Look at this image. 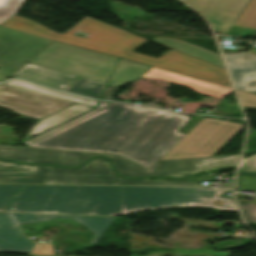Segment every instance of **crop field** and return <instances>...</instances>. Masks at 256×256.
I'll return each mask as SVG.
<instances>
[{
    "label": "crop field",
    "instance_id": "dd49c442",
    "mask_svg": "<svg viewBox=\"0 0 256 256\" xmlns=\"http://www.w3.org/2000/svg\"><path fill=\"white\" fill-rule=\"evenodd\" d=\"M117 59L98 52L52 42L29 63L107 83Z\"/></svg>",
    "mask_w": 256,
    "mask_h": 256
},
{
    "label": "crop field",
    "instance_id": "ae1a2a85",
    "mask_svg": "<svg viewBox=\"0 0 256 256\" xmlns=\"http://www.w3.org/2000/svg\"><path fill=\"white\" fill-rule=\"evenodd\" d=\"M240 171H247V172L254 171V172H256V157H254L251 160L243 163V165L241 166Z\"/></svg>",
    "mask_w": 256,
    "mask_h": 256
},
{
    "label": "crop field",
    "instance_id": "34b2d1b8",
    "mask_svg": "<svg viewBox=\"0 0 256 256\" xmlns=\"http://www.w3.org/2000/svg\"><path fill=\"white\" fill-rule=\"evenodd\" d=\"M1 27L52 39L58 42L102 52L115 57H121L157 68L193 76L217 84L231 87L224 69L188 56L173 49L160 58H152L133 52L148 40L134 36L90 17H86L67 33L58 34L32 20L14 15ZM88 34L83 38L71 35L76 30Z\"/></svg>",
    "mask_w": 256,
    "mask_h": 256
},
{
    "label": "crop field",
    "instance_id": "dafd665d",
    "mask_svg": "<svg viewBox=\"0 0 256 256\" xmlns=\"http://www.w3.org/2000/svg\"><path fill=\"white\" fill-rule=\"evenodd\" d=\"M98 110H99V109H95V110H93V111H91V112H89V113H87V114H85V115H83V116H81V117H78V118H76V119H74V120H71V121H69V122H67V123H65V124H63V125H61V126L55 128V129H52V130H50V131H47V132H45V133H43V134H41V135H39V136H37V137H35V138H32V139H30V140H28V141H26V142H24V143H22V144H24V145L27 146V145H29V144H31V143H33V142L39 140V139H42V138H44V137H46V136H49V135H51V134H53V133L59 131L60 129H62V128L66 127V126H68V125H70V124H72V123H74V122H76V121H78V120H80V119H82V118H84V117H86V116H88V115H90V114H92V113L98 111Z\"/></svg>",
    "mask_w": 256,
    "mask_h": 256
},
{
    "label": "crop field",
    "instance_id": "4a817a6b",
    "mask_svg": "<svg viewBox=\"0 0 256 256\" xmlns=\"http://www.w3.org/2000/svg\"><path fill=\"white\" fill-rule=\"evenodd\" d=\"M50 219L65 218L75 219L87 230L94 234L90 243H96L115 217H91V216H71V215H48Z\"/></svg>",
    "mask_w": 256,
    "mask_h": 256
},
{
    "label": "crop field",
    "instance_id": "bd1437ed",
    "mask_svg": "<svg viewBox=\"0 0 256 256\" xmlns=\"http://www.w3.org/2000/svg\"><path fill=\"white\" fill-rule=\"evenodd\" d=\"M256 94V93H255Z\"/></svg>",
    "mask_w": 256,
    "mask_h": 256
},
{
    "label": "crop field",
    "instance_id": "cbeb9de0",
    "mask_svg": "<svg viewBox=\"0 0 256 256\" xmlns=\"http://www.w3.org/2000/svg\"><path fill=\"white\" fill-rule=\"evenodd\" d=\"M13 77L62 90L78 77L27 63Z\"/></svg>",
    "mask_w": 256,
    "mask_h": 256
},
{
    "label": "crop field",
    "instance_id": "4177f3b9",
    "mask_svg": "<svg viewBox=\"0 0 256 256\" xmlns=\"http://www.w3.org/2000/svg\"><path fill=\"white\" fill-rule=\"evenodd\" d=\"M32 254L54 255L51 244H37Z\"/></svg>",
    "mask_w": 256,
    "mask_h": 256
},
{
    "label": "crop field",
    "instance_id": "d9b57169",
    "mask_svg": "<svg viewBox=\"0 0 256 256\" xmlns=\"http://www.w3.org/2000/svg\"><path fill=\"white\" fill-rule=\"evenodd\" d=\"M151 41H155L162 45L168 46L175 50L181 51L188 55L194 56L196 58H199L201 60L207 61L209 63H212L214 65L224 68L221 58L218 54L208 51L206 49L200 48L198 46L189 44L187 42H184L178 39L167 38V37H157L152 39Z\"/></svg>",
    "mask_w": 256,
    "mask_h": 256
},
{
    "label": "crop field",
    "instance_id": "8a807250",
    "mask_svg": "<svg viewBox=\"0 0 256 256\" xmlns=\"http://www.w3.org/2000/svg\"><path fill=\"white\" fill-rule=\"evenodd\" d=\"M232 188L0 185V211L117 215L170 206L238 210ZM218 203V204H217Z\"/></svg>",
    "mask_w": 256,
    "mask_h": 256
},
{
    "label": "crop field",
    "instance_id": "d1516ede",
    "mask_svg": "<svg viewBox=\"0 0 256 256\" xmlns=\"http://www.w3.org/2000/svg\"><path fill=\"white\" fill-rule=\"evenodd\" d=\"M142 77L162 79L179 85H184L199 92L200 94L209 95L217 99H222L232 90L229 87L156 68H151Z\"/></svg>",
    "mask_w": 256,
    "mask_h": 256
},
{
    "label": "crop field",
    "instance_id": "00972430",
    "mask_svg": "<svg viewBox=\"0 0 256 256\" xmlns=\"http://www.w3.org/2000/svg\"><path fill=\"white\" fill-rule=\"evenodd\" d=\"M241 103L245 107L256 108V95L237 90Z\"/></svg>",
    "mask_w": 256,
    "mask_h": 256
},
{
    "label": "crop field",
    "instance_id": "ac0d7876",
    "mask_svg": "<svg viewBox=\"0 0 256 256\" xmlns=\"http://www.w3.org/2000/svg\"><path fill=\"white\" fill-rule=\"evenodd\" d=\"M111 102L101 111L30 146L120 154L152 167L186 134L191 118L174 112Z\"/></svg>",
    "mask_w": 256,
    "mask_h": 256
},
{
    "label": "crop field",
    "instance_id": "22f410ed",
    "mask_svg": "<svg viewBox=\"0 0 256 256\" xmlns=\"http://www.w3.org/2000/svg\"><path fill=\"white\" fill-rule=\"evenodd\" d=\"M235 86L256 91V55L251 53L224 55Z\"/></svg>",
    "mask_w": 256,
    "mask_h": 256
},
{
    "label": "crop field",
    "instance_id": "28ad6ade",
    "mask_svg": "<svg viewBox=\"0 0 256 256\" xmlns=\"http://www.w3.org/2000/svg\"><path fill=\"white\" fill-rule=\"evenodd\" d=\"M40 221V214L0 213V251L30 253L34 243L21 236L17 226Z\"/></svg>",
    "mask_w": 256,
    "mask_h": 256
},
{
    "label": "crop field",
    "instance_id": "5142ce71",
    "mask_svg": "<svg viewBox=\"0 0 256 256\" xmlns=\"http://www.w3.org/2000/svg\"><path fill=\"white\" fill-rule=\"evenodd\" d=\"M93 107L75 103L65 109H62L52 115H49L35 123L22 140L34 137L60 123H63Z\"/></svg>",
    "mask_w": 256,
    "mask_h": 256
},
{
    "label": "crop field",
    "instance_id": "3316defc",
    "mask_svg": "<svg viewBox=\"0 0 256 256\" xmlns=\"http://www.w3.org/2000/svg\"><path fill=\"white\" fill-rule=\"evenodd\" d=\"M204 16L218 34L226 35L250 0H184Z\"/></svg>",
    "mask_w": 256,
    "mask_h": 256
},
{
    "label": "crop field",
    "instance_id": "92a150f3",
    "mask_svg": "<svg viewBox=\"0 0 256 256\" xmlns=\"http://www.w3.org/2000/svg\"><path fill=\"white\" fill-rule=\"evenodd\" d=\"M24 0H0V24L13 16Z\"/></svg>",
    "mask_w": 256,
    "mask_h": 256
},
{
    "label": "crop field",
    "instance_id": "f4fd0767",
    "mask_svg": "<svg viewBox=\"0 0 256 256\" xmlns=\"http://www.w3.org/2000/svg\"><path fill=\"white\" fill-rule=\"evenodd\" d=\"M0 183L201 186L197 182L124 179L113 172L105 158H95L80 169L15 164L0 160Z\"/></svg>",
    "mask_w": 256,
    "mask_h": 256
},
{
    "label": "crop field",
    "instance_id": "412701ff",
    "mask_svg": "<svg viewBox=\"0 0 256 256\" xmlns=\"http://www.w3.org/2000/svg\"><path fill=\"white\" fill-rule=\"evenodd\" d=\"M93 155L108 157L114 164L118 174L124 177L141 176H179L185 177L197 171H206L215 167L235 168L240 155L204 157L180 160L159 161L149 170L119 155L98 153L71 152L1 146L0 158L41 164L66 165L77 167Z\"/></svg>",
    "mask_w": 256,
    "mask_h": 256
},
{
    "label": "crop field",
    "instance_id": "a9b5d70f",
    "mask_svg": "<svg viewBox=\"0 0 256 256\" xmlns=\"http://www.w3.org/2000/svg\"><path fill=\"white\" fill-rule=\"evenodd\" d=\"M244 214L245 221H256V204L239 203Z\"/></svg>",
    "mask_w": 256,
    "mask_h": 256
},
{
    "label": "crop field",
    "instance_id": "eef30255",
    "mask_svg": "<svg viewBox=\"0 0 256 256\" xmlns=\"http://www.w3.org/2000/svg\"><path fill=\"white\" fill-rule=\"evenodd\" d=\"M118 89L119 88H117V87L108 85L103 96H102V99L113 100L118 93Z\"/></svg>",
    "mask_w": 256,
    "mask_h": 256
},
{
    "label": "crop field",
    "instance_id": "bc2a9ffb",
    "mask_svg": "<svg viewBox=\"0 0 256 256\" xmlns=\"http://www.w3.org/2000/svg\"><path fill=\"white\" fill-rule=\"evenodd\" d=\"M6 84L14 85V86H17V87L32 90V91L39 92V93L46 94V95H50V96H53V97H57V98H61V99H65V100H69V101H73V102L86 104V105L93 106V107H96L97 102H98V101H94V100L88 99V98H82V97H78V96H74V95H70V94H66V93H62V92H58V91H54V90H49V89L39 87V86L30 84V83H27V82L20 81V80H12V81H10Z\"/></svg>",
    "mask_w": 256,
    "mask_h": 256
},
{
    "label": "crop field",
    "instance_id": "750c4746",
    "mask_svg": "<svg viewBox=\"0 0 256 256\" xmlns=\"http://www.w3.org/2000/svg\"><path fill=\"white\" fill-rule=\"evenodd\" d=\"M41 216H42L43 220H45V219H49L47 215H43V214H41Z\"/></svg>",
    "mask_w": 256,
    "mask_h": 256
},
{
    "label": "crop field",
    "instance_id": "5a996713",
    "mask_svg": "<svg viewBox=\"0 0 256 256\" xmlns=\"http://www.w3.org/2000/svg\"><path fill=\"white\" fill-rule=\"evenodd\" d=\"M71 104L73 102L6 84L0 85V106L34 118L41 119Z\"/></svg>",
    "mask_w": 256,
    "mask_h": 256
},
{
    "label": "crop field",
    "instance_id": "730fd06b",
    "mask_svg": "<svg viewBox=\"0 0 256 256\" xmlns=\"http://www.w3.org/2000/svg\"><path fill=\"white\" fill-rule=\"evenodd\" d=\"M238 185L241 187H256V178L238 176Z\"/></svg>",
    "mask_w": 256,
    "mask_h": 256
},
{
    "label": "crop field",
    "instance_id": "d8731c3e",
    "mask_svg": "<svg viewBox=\"0 0 256 256\" xmlns=\"http://www.w3.org/2000/svg\"><path fill=\"white\" fill-rule=\"evenodd\" d=\"M51 41L0 28V82L12 76Z\"/></svg>",
    "mask_w": 256,
    "mask_h": 256
},
{
    "label": "crop field",
    "instance_id": "d3111659",
    "mask_svg": "<svg viewBox=\"0 0 256 256\" xmlns=\"http://www.w3.org/2000/svg\"><path fill=\"white\" fill-rule=\"evenodd\" d=\"M110 102H106V101H100V104L98 106L99 109L104 108L107 104H109Z\"/></svg>",
    "mask_w": 256,
    "mask_h": 256
},
{
    "label": "crop field",
    "instance_id": "214f88e0",
    "mask_svg": "<svg viewBox=\"0 0 256 256\" xmlns=\"http://www.w3.org/2000/svg\"><path fill=\"white\" fill-rule=\"evenodd\" d=\"M105 85L104 83L82 78L65 89V91L99 99Z\"/></svg>",
    "mask_w": 256,
    "mask_h": 256
},
{
    "label": "crop field",
    "instance_id": "e52e79f7",
    "mask_svg": "<svg viewBox=\"0 0 256 256\" xmlns=\"http://www.w3.org/2000/svg\"><path fill=\"white\" fill-rule=\"evenodd\" d=\"M243 126L242 124L203 118L160 160L212 156Z\"/></svg>",
    "mask_w": 256,
    "mask_h": 256
},
{
    "label": "crop field",
    "instance_id": "733c2abd",
    "mask_svg": "<svg viewBox=\"0 0 256 256\" xmlns=\"http://www.w3.org/2000/svg\"><path fill=\"white\" fill-rule=\"evenodd\" d=\"M150 68V66H144L136 62L120 59L109 84L120 87L128 82L134 81L146 73Z\"/></svg>",
    "mask_w": 256,
    "mask_h": 256
}]
</instances>
